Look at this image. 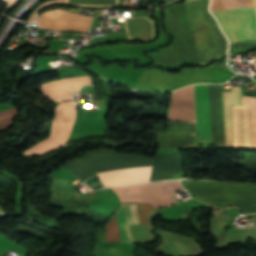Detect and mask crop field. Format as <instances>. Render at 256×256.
I'll return each instance as SVG.
<instances>
[{"label":"crop field","mask_w":256,"mask_h":256,"mask_svg":"<svg viewBox=\"0 0 256 256\" xmlns=\"http://www.w3.org/2000/svg\"><path fill=\"white\" fill-rule=\"evenodd\" d=\"M87 156L65 164L70 173L81 181L102 171L124 167L152 166L153 160L143 156L126 153L119 154L111 149H97L86 152ZM152 167L125 168L97 174L103 187L126 183L149 181Z\"/></svg>","instance_id":"1"},{"label":"crop field","mask_w":256,"mask_h":256,"mask_svg":"<svg viewBox=\"0 0 256 256\" xmlns=\"http://www.w3.org/2000/svg\"><path fill=\"white\" fill-rule=\"evenodd\" d=\"M166 28L174 42L169 48L161 49L155 54L156 65L172 68L184 64H197L184 2L166 8ZM148 54L154 59V53ZM179 67L168 70L176 71Z\"/></svg>","instance_id":"2"},{"label":"crop field","mask_w":256,"mask_h":256,"mask_svg":"<svg viewBox=\"0 0 256 256\" xmlns=\"http://www.w3.org/2000/svg\"><path fill=\"white\" fill-rule=\"evenodd\" d=\"M218 183L222 193L197 197L221 192ZM218 183L181 180L182 186L197 197L194 199L219 207L234 205L241 208L247 214L256 213V184Z\"/></svg>","instance_id":"3"},{"label":"crop field","mask_w":256,"mask_h":256,"mask_svg":"<svg viewBox=\"0 0 256 256\" xmlns=\"http://www.w3.org/2000/svg\"><path fill=\"white\" fill-rule=\"evenodd\" d=\"M121 202H154V207L173 204L171 195L183 188L178 181L125 185L112 188Z\"/></svg>","instance_id":"4"},{"label":"crop field","mask_w":256,"mask_h":256,"mask_svg":"<svg viewBox=\"0 0 256 256\" xmlns=\"http://www.w3.org/2000/svg\"><path fill=\"white\" fill-rule=\"evenodd\" d=\"M75 121V104L61 103L55 109V118L50 129V137L32 146L24 156L42 155L64 145Z\"/></svg>","instance_id":"5"},{"label":"crop field","mask_w":256,"mask_h":256,"mask_svg":"<svg viewBox=\"0 0 256 256\" xmlns=\"http://www.w3.org/2000/svg\"><path fill=\"white\" fill-rule=\"evenodd\" d=\"M125 204L137 205L140 223H148L146 215L153 208V204L121 203L118 206V208L115 210L110 220L105 225V230H106L105 241L106 242H120V233H119V228H118L115 213L121 205H125ZM133 205L121 206V208L116 213L119 227H120V232H121V242L132 243L127 224L139 223L137 209H136V206H133Z\"/></svg>","instance_id":"6"},{"label":"crop field","mask_w":256,"mask_h":256,"mask_svg":"<svg viewBox=\"0 0 256 256\" xmlns=\"http://www.w3.org/2000/svg\"><path fill=\"white\" fill-rule=\"evenodd\" d=\"M212 14L219 21L230 43L246 38H256L253 7L215 11Z\"/></svg>","instance_id":"7"},{"label":"crop field","mask_w":256,"mask_h":256,"mask_svg":"<svg viewBox=\"0 0 256 256\" xmlns=\"http://www.w3.org/2000/svg\"><path fill=\"white\" fill-rule=\"evenodd\" d=\"M93 19L94 17L52 9L43 12L36 22L39 24V28L87 32Z\"/></svg>","instance_id":"8"},{"label":"crop field","mask_w":256,"mask_h":256,"mask_svg":"<svg viewBox=\"0 0 256 256\" xmlns=\"http://www.w3.org/2000/svg\"><path fill=\"white\" fill-rule=\"evenodd\" d=\"M88 76L58 79L42 84L45 96L58 101L70 100V93H78L80 86L90 84Z\"/></svg>","instance_id":"9"},{"label":"crop field","mask_w":256,"mask_h":256,"mask_svg":"<svg viewBox=\"0 0 256 256\" xmlns=\"http://www.w3.org/2000/svg\"><path fill=\"white\" fill-rule=\"evenodd\" d=\"M196 100L208 99V85H194ZM197 144L211 143L209 122V101H196Z\"/></svg>","instance_id":"10"},{"label":"crop field","mask_w":256,"mask_h":256,"mask_svg":"<svg viewBox=\"0 0 256 256\" xmlns=\"http://www.w3.org/2000/svg\"><path fill=\"white\" fill-rule=\"evenodd\" d=\"M209 0L186 4L191 30L218 26L207 10Z\"/></svg>","instance_id":"11"},{"label":"crop field","mask_w":256,"mask_h":256,"mask_svg":"<svg viewBox=\"0 0 256 256\" xmlns=\"http://www.w3.org/2000/svg\"><path fill=\"white\" fill-rule=\"evenodd\" d=\"M223 92L226 147H233L231 105H240V88Z\"/></svg>","instance_id":"12"},{"label":"crop field","mask_w":256,"mask_h":256,"mask_svg":"<svg viewBox=\"0 0 256 256\" xmlns=\"http://www.w3.org/2000/svg\"><path fill=\"white\" fill-rule=\"evenodd\" d=\"M253 6L252 0H211L210 11Z\"/></svg>","instance_id":"13"},{"label":"crop field","mask_w":256,"mask_h":256,"mask_svg":"<svg viewBox=\"0 0 256 256\" xmlns=\"http://www.w3.org/2000/svg\"><path fill=\"white\" fill-rule=\"evenodd\" d=\"M241 105H249L252 146H256V98L242 97Z\"/></svg>","instance_id":"14"},{"label":"crop field","mask_w":256,"mask_h":256,"mask_svg":"<svg viewBox=\"0 0 256 256\" xmlns=\"http://www.w3.org/2000/svg\"><path fill=\"white\" fill-rule=\"evenodd\" d=\"M15 115H17L15 107L0 111V129L10 126L12 124L11 119Z\"/></svg>","instance_id":"15"},{"label":"crop field","mask_w":256,"mask_h":256,"mask_svg":"<svg viewBox=\"0 0 256 256\" xmlns=\"http://www.w3.org/2000/svg\"><path fill=\"white\" fill-rule=\"evenodd\" d=\"M3 1H5L8 5L16 2V0H3Z\"/></svg>","instance_id":"16"},{"label":"crop field","mask_w":256,"mask_h":256,"mask_svg":"<svg viewBox=\"0 0 256 256\" xmlns=\"http://www.w3.org/2000/svg\"><path fill=\"white\" fill-rule=\"evenodd\" d=\"M191 1H195V0H185V3H187V2H191Z\"/></svg>","instance_id":"17"},{"label":"crop field","mask_w":256,"mask_h":256,"mask_svg":"<svg viewBox=\"0 0 256 256\" xmlns=\"http://www.w3.org/2000/svg\"><path fill=\"white\" fill-rule=\"evenodd\" d=\"M198 65H200V64H198Z\"/></svg>","instance_id":"18"}]
</instances>
